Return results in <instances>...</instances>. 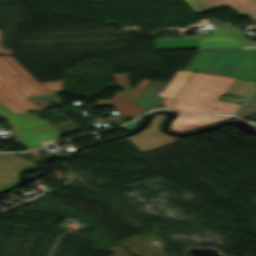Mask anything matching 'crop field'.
I'll return each instance as SVG.
<instances>
[{"mask_svg":"<svg viewBox=\"0 0 256 256\" xmlns=\"http://www.w3.org/2000/svg\"><path fill=\"white\" fill-rule=\"evenodd\" d=\"M64 80L39 83L12 56L0 57V103L14 114L37 109L25 98L61 92Z\"/></svg>","mask_w":256,"mask_h":256,"instance_id":"1","label":"crop field"},{"mask_svg":"<svg viewBox=\"0 0 256 256\" xmlns=\"http://www.w3.org/2000/svg\"><path fill=\"white\" fill-rule=\"evenodd\" d=\"M234 79L193 72L174 98L171 109L192 113H227L238 106L218 101ZM219 108L218 110L212 109Z\"/></svg>","mask_w":256,"mask_h":256,"instance_id":"2","label":"crop field"},{"mask_svg":"<svg viewBox=\"0 0 256 256\" xmlns=\"http://www.w3.org/2000/svg\"><path fill=\"white\" fill-rule=\"evenodd\" d=\"M187 70L256 81V48L201 49Z\"/></svg>","mask_w":256,"mask_h":256,"instance_id":"3","label":"crop field"},{"mask_svg":"<svg viewBox=\"0 0 256 256\" xmlns=\"http://www.w3.org/2000/svg\"><path fill=\"white\" fill-rule=\"evenodd\" d=\"M210 33L175 39L155 38V42L157 49L256 47V42H245L243 31L239 29L210 30Z\"/></svg>","mask_w":256,"mask_h":256,"instance_id":"4","label":"crop field"},{"mask_svg":"<svg viewBox=\"0 0 256 256\" xmlns=\"http://www.w3.org/2000/svg\"><path fill=\"white\" fill-rule=\"evenodd\" d=\"M0 116L10 122L18 140L29 149L42 145L37 140L58 136L59 130L32 113L14 115L0 104Z\"/></svg>","mask_w":256,"mask_h":256,"instance_id":"5","label":"crop field"},{"mask_svg":"<svg viewBox=\"0 0 256 256\" xmlns=\"http://www.w3.org/2000/svg\"><path fill=\"white\" fill-rule=\"evenodd\" d=\"M117 85L124 92H117L112 100H98L93 105L114 106L122 117L135 118L145 111L133 101L137 98L149 80L142 79L136 90L130 88L128 73L113 74Z\"/></svg>","mask_w":256,"mask_h":256,"instance_id":"6","label":"crop field"},{"mask_svg":"<svg viewBox=\"0 0 256 256\" xmlns=\"http://www.w3.org/2000/svg\"><path fill=\"white\" fill-rule=\"evenodd\" d=\"M164 115L155 116L150 125L129 139L142 151L153 149L176 141V138L160 133L159 126Z\"/></svg>","mask_w":256,"mask_h":256,"instance_id":"7","label":"crop field"},{"mask_svg":"<svg viewBox=\"0 0 256 256\" xmlns=\"http://www.w3.org/2000/svg\"><path fill=\"white\" fill-rule=\"evenodd\" d=\"M196 12L229 5L242 16H256V0H185Z\"/></svg>","mask_w":256,"mask_h":256,"instance_id":"8","label":"crop field"},{"mask_svg":"<svg viewBox=\"0 0 256 256\" xmlns=\"http://www.w3.org/2000/svg\"><path fill=\"white\" fill-rule=\"evenodd\" d=\"M32 165L37 164L14 154H0V189L17 182L20 170Z\"/></svg>","mask_w":256,"mask_h":256,"instance_id":"9","label":"crop field"},{"mask_svg":"<svg viewBox=\"0 0 256 256\" xmlns=\"http://www.w3.org/2000/svg\"><path fill=\"white\" fill-rule=\"evenodd\" d=\"M165 86V84L149 82L134 102L146 110L152 109Z\"/></svg>","mask_w":256,"mask_h":256,"instance_id":"10","label":"crop field"},{"mask_svg":"<svg viewBox=\"0 0 256 256\" xmlns=\"http://www.w3.org/2000/svg\"><path fill=\"white\" fill-rule=\"evenodd\" d=\"M178 116L185 117V118H191L197 124L181 126V127H170V130L173 131V132H185V131L196 129V128L203 127V126H206V125L215 124V123H218L220 121L231 119V117H216V116H202V115H181V114H178Z\"/></svg>","mask_w":256,"mask_h":256,"instance_id":"11","label":"crop field"},{"mask_svg":"<svg viewBox=\"0 0 256 256\" xmlns=\"http://www.w3.org/2000/svg\"><path fill=\"white\" fill-rule=\"evenodd\" d=\"M255 86L256 82L235 79L224 94L246 98Z\"/></svg>","mask_w":256,"mask_h":256,"instance_id":"12","label":"crop field"},{"mask_svg":"<svg viewBox=\"0 0 256 256\" xmlns=\"http://www.w3.org/2000/svg\"><path fill=\"white\" fill-rule=\"evenodd\" d=\"M251 113L256 114V91L253 93L247 103L239 109L236 115L243 118Z\"/></svg>","mask_w":256,"mask_h":256,"instance_id":"13","label":"crop field"},{"mask_svg":"<svg viewBox=\"0 0 256 256\" xmlns=\"http://www.w3.org/2000/svg\"><path fill=\"white\" fill-rule=\"evenodd\" d=\"M195 122H193L191 119H184L181 117H177L173 120L171 126H181V125H187V124H193Z\"/></svg>","mask_w":256,"mask_h":256,"instance_id":"14","label":"crop field"},{"mask_svg":"<svg viewBox=\"0 0 256 256\" xmlns=\"http://www.w3.org/2000/svg\"><path fill=\"white\" fill-rule=\"evenodd\" d=\"M213 20L216 28L232 27L231 23H224V22L217 23L216 19H213Z\"/></svg>","mask_w":256,"mask_h":256,"instance_id":"15","label":"crop field"},{"mask_svg":"<svg viewBox=\"0 0 256 256\" xmlns=\"http://www.w3.org/2000/svg\"><path fill=\"white\" fill-rule=\"evenodd\" d=\"M252 20L256 21V17H251Z\"/></svg>","mask_w":256,"mask_h":256,"instance_id":"16","label":"crop field"}]
</instances>
